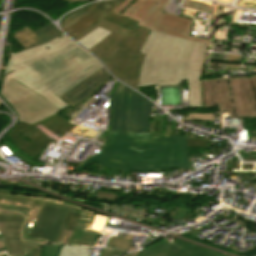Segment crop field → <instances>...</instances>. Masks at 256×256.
I'll use <instances>...</instances> for the list:
<instances>
[{
	"instance_id": "obj_23",
	"label": "crop field",
	"mask_w": 256,
	"mask_h": 256,
	"mask_svg": "<svg viewBox=\"0 0 256 256\" xmlns=\"http://www.w3.org/2000/svg\"><path fill=\"white\" fill-rule=\"evenodd\" d=\"M4 143L6 144V146L8 147L9 150H11L13 153H15L20 159H22L25 162H28L30 164L42 167L44 163L42 164H37L32 162V158H30L29 156H27L25 153H23L21 150H19L11 141L6 140L4 141Z\"/></svg>"
},
{
	"instance_id": "obj_16",
	"label": "crop field",
	"mask_w": 256,
	"mask_h": 256,
	"mask_svg": "<svg viewBox=\"0 0 256 256\" xmlns=\"http://www.w3.org/2000/svg\"><path fill=\"white\" fill-rule=\"evenodd\" d=\"M126 0H123L121 1L115 8H113L103 19L107 20V21H110L112 23H115L119 26H122V27H126V28H129L130 30H133V31H138L139 29V26L138 25V22L136 21H133L131 19H128L126 17H123L121 15H117V14H114L112 13L113 11H115L123 2H125Z\"/></svg>"
},
{
	"instance_id": "obj_9",
	"label": "crop field",
	"mask_w": 256,
	"mask_h": 256,
	"mask_svg": "<svg viewBox=\"0 0 256 256\" xmlns=\"http://www.w3.org/2000/svg\"><path fill=\"white\" fill-rule=\"evenodd\" d=\"M216 252L206 248L182 241L168 242L163 240L146 250L138 253V256H215Z\"/></svg>"
},
{
	"instance_id": "obj_32",
	"label": "crop field",
	"mask_w": 256,
	"mask_h": 256,
	"mask_svg": "<svg viewBox=\"0 0 256 256\" xmlns=\"http://www.w3.org/2000/svg\"><path fill=\"white\" fill-rule=\"evenodd\" d=\"M91 215H92L91 213H87V212L82 211L78 224L88 225L89 221H90V218H91Z\"/></svg>"
},
{
	"instance_id": "obj_3",
	"label": "crop field",
	"mask_w": 256,
	"mask_h": 256,
	"mask_svg": "<svg viewBox=\"0 0 256 256\" xmlns=\"http://www.w3.org/2000/svg\"><path fill=\"white\" fill-rule=\"evenodd\" d=\"M98 26L112 33L89 50L101 59L115 77L136 89L144 58V55L138 52L149 30L140 27L136 33L101 19L75 40L84 37Z\"/></svg>"
},
{
	"instance_id": "obj_21",
	"label": "crop field",
	"mask_w": 256,
	"mask_h": 256,
	"mask_svg": "<svg viewBox=\"0 0 256 256\" xmlns=\"http://www.w3.org/2000/svg\"><path fill=\"white\" fill-rule=\"evenodd\" d=\"M98 4H94L91 6H88L84 9L78 10L76 12H74L73 14L67 16L61 23L62 25V29L65 31L66 29H68L72 24H74L76 21H78L79 19H81L82 17H84L86 14H88L91 10H93L95 7H97Z\"/></svg>"
},
{
	"instance_id": "obj_1",
	"label": "crop field",
	"mask_w": 256,
	"mask_h": 256,
	"mask_svg": "<svg viewBox=\"0 0 256 256\" xmlns=\"http://www.w3.org/2000/svg\"><path fill=\"white\" fill-rule=\"evenodd\" d=\"M151 106L152 102L118 82L113 90L111 123L103 151L89 157L76 170L94 162L127 171L191 168L187 136L149 135Z\"/></svg>"
},
{
	"instance_id": "obj_18",
	"label": "crop field",
	"mask_w": 256,
	"mask_h": 256,
	"mask_svg": "<svg viewBox=\"0 0 256 256\" xmlns=\"http://www.w3.org/2000/svg\"><path fill=\"white\" fill-rule=\"evenodd\" d=\"M110 32L98 27L91 33H89L87 36H85L83 39L77 41L79 42L82 46L86 48H91L98 42H100L102 39H104L106 36H108Z\"/></svg>"
},
{
	"instance_id": "obj_8",
	"label": "crop field",
	"mask_w": 256,
	"mask_h": 256,
	"mask_svg": "<svg viewBox=\"0 0 256 256\" xmlns=\"http://www.w3.org/2000/svg\"><path fill=\"white\" fill-rule=\"evenodd\" d=\"M237 118H256V76L230 79Z\"/></svg>"
},
{
	"instance_id": "obj_20",
	"label": "crop field",
	"mask_w": 256,
	"mask_h": 256,
	"mask_svg": "<svg viewBox=\"0 0 256 256\" xmlns=\"http://www.w3.org/2000/svg\"><path fill=\"white\" fill-rule=\"evenodd\" d=\"M101 67H103L102 64L100 62L97 63L95 66H93L92 68H90L89 70L84 72L79 77H77V78L73 79L72 81L66 83L65 85L55 89L54 92L60 96L61 94L65 93L66 91L72 89L75 85H77L79 82H81L83 79H85L86 77H88L89 75H91L93 72H95L96 70H98Z\"/></svg>"
},
{
	"instance_id": "obj_40",
	"label": "crop field",
	"mask_w": 256,
	"mask_h": 256,
	"mask_svg": "<svg viewBox=\"0 0 256 256\" xmlns=\"http://www.w3.org/2000/svg\"><path fill=\"white\" fill-rule=\"evenodd\" d=\"M4 256H7V255H4Z\"/></svg>"
},
{
	"instance_id": "obj_12",
	"label": "crop field",
	"mask_w": 256,
	"mask_h": 256,
	"mask_svg": "<svg viewBox=\"0 0 256 256\" xmlns=\"http://www.w3.org/2000/svg\"><path fill=\"white\" fill-rule=\"evenodd\" d=\"M110 77L111 75L103 67L83 80L72 90L61 95L60 98L74 106L104 84Z\"/></svg>"
},
{
	"instance_id": "obj_22",
	"label": "crop field",
	"mask_w": 256,
	"mask_h": 256,
	"mask_svg": "<svg viewBox=\"0 0 256 256\" xmlns=\"http://www.w3.org/2000/svg\"><path fill=\"white\" fill-rule=\"evenodd\" d=\"M191 210L181 209V208H165L164 216L174 219L176 221H181L182 218Z\"/></svg>"
},
{
	"instance_id": "obj_34",
	"label": "crop field",
	"mask_w": 256,
	"mask_h": 256,
	"mask_svg": "<svg viewBox=\"0 0 256 256\" xmlns=\"http://www.w3.org/2000/svg\"><path fill=\"white\" fill-rule=\"evenodd\" d=\"M117 238H118V237H110L109 241H108L107 244H106V247H112V248H114L115 243H116V241H117Z\"/></svg>"
},
{
	"instance_id": "obj_36",
	"label": "crop field",
	"mask_w": 256,
	"mask_h": 256,
	"mask_svg": "<svg viewBox=\"0 0 256 256\" xmlns=\"http://www.w3.org/2000/svg\"><path fill=\"white\" fill-rule=\"evenodd\" d=\"M89 234H90V231L86 230L84 235H83V237H82V239L79 241L78 245H84V242L86 241V239H87Z\"/></svg>"
},
{
	"instance_id": "obj_37",
	"label": "crop field",
	"mask_w": 256,
	"mask_h": 256,
	"mask_svg": "<svg viewBox=\"0 0 256 256\" xmlns=\"http://www.w3.org/2000/svg\"><path fill=\"white\" fill-rule=\"evenodd\" d=\"M136 252H137V251H135V252H133V253H131V254H128V256H135V255H136ZM216 256H225V255H222V254L217 253Z\"/></svg>"
},
{
	"instance_id": "obj_7",
	"label": "crop field",
	"mask_w": 256,
	"mask_h": 256,
	"mask_svg": "<svg viewBox=\"0 0 256 256\" xmlns=\"http://www.w3.org/2000/svg\"><path fill=\"white\" fill-rule=\"evenodd\" d=\"M182 61L146 55L138 86L180 85Z\"/></svg>"
},
{
	"instance_id": "obj_6",
	"label": "crop field",
	"mask_w": 256,
	"mask_h": 256,
	"mask_svg": "<svg viewBox=\"0 0 256 256\" xmlns=\"http://www.w3.org/2000/svg\"><path fill=\"white\" fill-rule=\"evenodd\" d=\"M0 95L14 109L18 120L29 124L60 111L53 104L12 79L3 83Z\"/></svg>"
},
{
	"instance_id": "obj_26",
	"label": "crop field",
	"mask_w": 256,
	"mask_h": 256,
	"mask_svg": "<svg viewBox=\"0 0 256 256\" xmlns=\"http://www.w3.org/2000/svg\"><path fill=\"white\" fill-rule=\"evenodd\" d=\"M87 226L76 225L68 244L76 245Z\"/></svg>"
},
{
	"instance_id": "obj_24",
	"label": "crop field",
	"mask_w": 256,
	"mask_h": 256,
	"mask_svg": "<svg viewBox=\"0 0 256 256\" xmlns=\"http://www.w3.org/2000/svg\"><path fill=\"white\" fill-rule=\"evenodd\" d=\"M61 245L43 244L42 256H57Z\"/></svg>"
},
{
	"instance_id": "obj_35",
	"label": "crop field",
	"mask_w": 256,
	"mask_h": 256,
	"mask_svg": "<svg viewBox=\"0 0 256 256\" xmlns=\"http://www.w3.org/2000/svg\"><path fill=\"white\" fill-rule=\"evenodd\" d=\"M26 256H41V249L36 248Z\"/></svg>"
},
{
	"instance_id": "obj_29",
	"label": "crop field",
	"mask_w": 256,
	"mask_h": 256,
	"mask_svg": "<svg viewBox=\"0 0 256 256\" xmlns=\"http://www.w3.org/2000/svg\"><path fill=\"white\" fill-rule=\"evenodd\" d=\"M0 198L18 201V202H22V203H26V204L39 205V206H42L44 203V202H40V201H34V200H28V199H22V198L10 197V196H3V195H0Z\"/></svg>"
},
{
	"instance_id": "obj_10",
	"label": "crop field",
	"mask_w": 256,
	"mask_h": 256,
	"mask_svg": "<svg viewBox=\"0 0 256 256\" xmlns=\"http://www.w3.org/2000/svg\"><path fill=\"white\" fill-rule=\"evenodd\" d=\"M203 84L206 108H213L217 103L219 112L229 111L234 118L227 78L204 80Z\"/></svg>"
},
{
	"instance_id": "obj_25",
	"label": "crop field",
	"mask_w": 256,
	"mask_h": 256,
	"mask_svg": "<svg viewBox=\"0 0 256 256\" xmlns=\"http://www.w3.org/2000/svg\"><path fill=\"white\" fill-rule=\"evenodd\" d=\"M187 120H212L215 121L214 113H188Z\"/></svg>"
},
{
	"instance_id": "obj_5",
	"label": "crop field",
	"mask_w": 256,
	"mask_h": 256,
	"mask_svg": "<svg viewBox=\"0 0 256 256\" xmlns=\"http://www.w3.org/2000/svg\"><path fill=\"white\" fill-rule=\"evenodd\" d=\"M167 2L168 0H127L114 13L136 20L140 22L139 26L147 29L206 44L207 40L190 36L192 20L161 12Z\"/></svg>"
},
{
	"instance_id": "obj_14",
	"label": "crop field",
	"mask_w": 256,
	"mask_h": 256,
	"mask_svg": "<svg viewBox=\"0 0 256 256\" xmlns=\"http://www.w3.org/2000/svg\"><path fill=\"white\" fill-rule=\"evenodd\" d=\"M42 125L45 128H47L48 130H50L52 133H54L55 135L58 136V134H60V136L58 137H62L64 134H66L68 131L71 132L72 128L76 125L66 121L65 119H63L62 117H60L57 114H54L48 118H45L41 121H38L32 125H29L27 123H24L22 121H18L17 126L14 127L10 132H8L6 134V136L9 138L11 136H13L14 134L27 129L29 127L35 126V125Z\"/></svg>"
},
{
	"instance_id": "obj_2",
	"label": "crop field",
	"mask_w": 256,
	"mask_h": 256,
	"mask_svg": "<svg viewBox=\"0 0 256 256\" xmlns=\"http://www.w3.org/2000/svg\"><path fill=\"white\" fill-rule=\"evenodd\" d=\"M97 62L99 60L92 54L63 35L50 43L13 55L4 81L13 78L62 110L68 104L52 90Z\"/></svg>"
},
{
	"instance_id": "obj_39",
	"label": "crop field",
	"mask_w": 256,
	"mask_h": 256,
	"mask_svg": "<svg viewBox=\"0 0 256 256\" xmlns=\"http://www.w3.org/2000/svg\"><path fill=\"white\" fill-rule=\"evenodd\" d=\"M65 1H82V0H65Z\"/></svg>"
},
{
	"instance_id": "obj_15",
	"label": "crop field",
	"mask_w": 256,
	"mask_h": 256,
	"mask_svg": "<svg viewBox=\"0 0 256 256\" xmlns=\"http://www.w3.org/2000/svg\"><path fill=\"white\" fill-rule=\"evenodd\" d=\"M120 1L121 0H110V1L103 2L102 4L99 5V7L94 9L87 16H85L83 20H79L65 32L68 33L73 38L80 35L84 31H86L88 28H90L99 19L103 18Z\"/></svg>"
},
{
	"instance_id": "obj_11",
	"label": "crop field",
	"mask_w": 256,
	"mask_h": 256,
	"mask_svg": "<svg viewBox=\"0 0 256 256\" xmlns=\"http://www.w3.org/2000/svg\"><path fill=\"white\" fill-rule=\"evenodd\" d=\"M44 135L32 127L9 138V140L30 157L38 159L39 155L44 151L43 149L54 141Z\"/></svg>"
},
{
	"instance_id": "obj_19",
	"label": "crop field",
	"mask_w": 256,
	"mask_h": 256,
	"mask_svg": "<svg viewBox=\"0 0 256 256\" xmlns=\"http://www.w3.org/2000/svg\"><path fill=\"white\" fill-rule=\"evenodd\" d=\"M0 194L21 196V197H29V198L41 199V200L52 201V202L63 203V204L75 206V205H73L71 203H68L64 200L58 202L57 199L54 200L51 197H49L48 194H42V193H29V192H22V191L2 190V189H0ZM75 207H78V206H75Z\"/></svg>"
},
{
	"instance_id": "obj_38",
	"label": "crop field",
	"mask_w": 256,
	"mask_h": 256,
	"mask_svg": "<svg viewBox=\"0 0 256 256\" xmlns=\"http://www.w3.org/2000/svg\"><path fill=\"white\" fill-rule=\"evenodd\" d=\"M71 212H75V213H79L80 214L81 211L72 207Z\"/></svg>"
},
{
	"instance_id": "obj_4",
	"label": "crop field",
	"mask_w": 256,
	"mask_h": 256,
	"mask_svg": "<svg viewBox=\"0 0 256 256\" xmlns=\"http://www.w3.org/2000/svg\"><path fill=\"white\" fill-rule=\"evenodd\" d=\"M206 45L150 31L140 53L183 60L182 80H188L189 107L202 108L199 78Z\"/></svg>"
},
{
	"instance_id": "obj_30",
	"label": "crop field",
	"mask_w": 256,
	"mask_h": 256,
	"mask_svg": "<svg viewBox=\"0 0 256 256\" xmlns=\"http://www.w3.org/2000/svg\"><path fill=\"white\" fill-rule=\"evenodd\" d=\"M127 252H122V251H117L114 249H105L103 248L101 255L100 256H118V255H122L125 254Z\"/></svg>"
},
{
	"instance_id": "obj_27",
	"label": "crop field",
	"mask_w": 256,
	"mask_h": 256,
	"mask_svg": "<svg viewBox=\"0 0 256 256\" xmlns=\"http://www.w3.org/2000/svg\"><path fill=\"white\" fill-rule=\"evenodd\" d=\"M132 237L133 236H130V235H125V237H123V238L119 237L115 248L128 251L129 247H130L129 242L132 239Z\"/></svg>"
},
{
	"instance_id": "obj_33",
	"label": "crop field",
	"mask_w": 256,
	"mask_h": 256,
	"mask_svg": "<svg viewBox=\"0 0 256 256\" xmlns=\"http://www.w3.org/2000/svg\"><path fill=\"white\" fill-rule=\"evenodd\" d=\"M98 236H99L98 233L91 232V234H90L89 238L87 239L85 245L94 246L96 241H97Z\"/></svg>"
},
{
	"instance_id": "obj_13",
	"label": "crop field",
	"mask_w": 256,
	"mask_h": 256,
	"mask_svg": "<svg viewBox=\"0 0 256 256\" xmlns=\"http://www.w3.org/2000/svg\"><path fill=\"white\" fill-rule=\"evenodd\" d=\"M60 35L61 33L49 23L35 32L29 28H24L20 32L15 33L13 37L27 49L51 41Z\"/></svg>"
},
{
	"instance_id": "obj_31",
	"label": "crop field",
	"mask_w": 256,
	"mask_h": 256,
	"mask_svg": "<svg viewBox=\"0 0 256 256\" xmlns=\"http://www.w3.org/2000/svg\"><path fill=\"white\" fill-rule=\"evenodd\" d=\"M38 245L40 244L23 242V256L32 251Z\"/></svg>"
},
{
	"instance_id": "obj_17",
	"label": "crop field",
	"mask_w": 256,
	"mask_h": 256,
	"mask_svg": "<svg viewBox=\"0 0 256 256\" xmlns=\"http://www.w3.org/2000/svg\"><path fill=\"white\" fill-rule=\"evenodd\" d=\"M79 214L69 213L55 243L67 244L72 233V230L79 219Z\"/></svg>"
},
{
	"instance_id": "obj_28",
	"label": "crop field",
	"mask_w": 256,
	"mask_h": 256,
	"mask_svg": "<svg viewBox=\"0 0 256 256\" xmlns=\"http://www.w3.org/2000/svg\"><path fill=\"white\" fill-rule=\"evenodd\" d=\"M209 140H201V139H187L188 147H199V148H208Z\"/></svg>"
}]
</instances>
